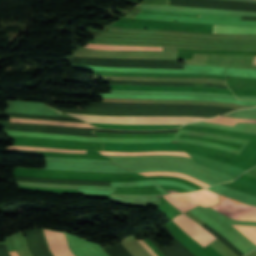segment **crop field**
Masks as SVG:
<instances>
[{
    "label": "crop field",
    "mask_w": 256,
    "mask_h": 256,
    "mask_svg": "<svg viewBox=\"0 0 256 256\" xmlns=\"http://www.w3.org/2000/svg\"><path fill=\"white\" fill-rule=\"evenodd\" d=\"M171 203H173L182 212L201 204L205 207L216 205L218 203V195L206 189L201 191H193L190 193L168 194L164 195ZM191 238L197 241L203 247L208 245L212 240L216 239L200 225L183 214L173 219Z\"/></svg>",
    "instance_id": "8a807250"
},
{
    "label": "crop field",
    "mask_w": 256,
    "mask_h": 256,
    "mask_svg": "<svg viewBox=\"0 0 256 256\" xmlns=\"http://www.w3.org/2000/svg\"><path fill=\"white\" fill-rule=\"evenodd\" d=\"M87 123L104 124H186L192 121L207 119L204 117H148V116H99L70 114Z\"/></svg>",
    "instance_id": "ac0d7876"
},
{
    "label": "crop field",
    "mask_w": 256,
    "mask_h": 256,
    "mask_svg": "<svg viewBox=\"0 0 256 256\" xmlns=\"http://www.w3.org/2000/svg\"><path fill=\"white\" fill-rule=\"evenodd\" d=\"M152 19L229 25H256V21H241V16H224L199 13L154 10Z\"/></svg>",
    "instance_id": "34b2d1b8"
},
{
    "label": "crop field",
    "mask_w": 256,
    "mask_h": 256,
    "mask_svg": "<svg viewBox=\"0 0 256 256\" xmlns=\"http://www.w3.org/2000/svg\"><path fill=\"white\" fill-rule=\"evenodd\" d=\"M219 198L220 203L212 207L215 210L233 219L256 221V207L245 205L221 195Z\"/></svg>",
    "instance_id": "412701ff"
},
{
    "label": "crop field",
    "mask_w": 256,
    "mask_h": 256,
    "mask_svg": "<svg viewBox=\"0 0 256 256\" xmlns=\"http://www.w3.org/2000/svg\"><path fill=\"white\" fill-rule=\"evenodd\" d=\"M70 248L76 256H108L100 245L66 233Z\"/></svg>",
    "instance_id": "f4fd0767"
},
{
    "label": "crop field",
    "mask_w": 256,
    "mask_h": 256,
    "mask_svg": "<svg viewBox=\"0 0 256 256\" xmlns=\"http://www.w3.org/2000/svg\"><path fill=\"white\" fill-rule=\"evenodd\" d=\"M104 150L113 151H153V150H178L175 143L158 144H120L105 143Z\"/></svg>",
    "instance_id": "dd49c442"
},
{
    "label": "crop field",
    "mask_w": 256,
    "mask_h": 256,
    "mask_svg": "<svg viewBox=\"0 0 256 256\" xmlns=\"http://www.w3.org/2000/svg\"><path fill=\"white\" fill-rule=\"evenodd\" d=\"M213 33L256 34V27L214 25Z\"/></svg>",
    "instance_id": "e52e79f7"
},
{
    "label": "crop field",
    "mask_w": 256,
    "mask_h": 256,
    "mask_svg": "<svg viewBox=\"0 0 256 256\" xmlns=\"http://www.w3.org/2000/svg\"><path fill=\"white\" fill-rule=\"evenodd\" d=\"M87 48H97L105 50H161L162 47H128V46H115V45H102V44H88Z\"/></svg>",
    "instance_id": "d8731c3e"
},
{
    "label": "crop field",
    "mask_w": 256,
    "mask_h": 256,
    "mask_svg": "<svg viewBox=\"0 0 256 256\" xmlns=\"http://www.w3.org/2000/svg\"><path fill=\"white\" fill-rule=\"evenodd\" d=\"M9 121H12V122H29V123H39V124H51V125H68V126H76V127H92L88 124H81V123L44 121V120H30V119H18V118H9Z\"/></svg>",
    "instance_id": "5a996713"
},
{
    "label": "crop field",
    "mask_w": 256,
    "mask_h": 256,
    "mask_svg": "<svg viewBox=\"0 0 256 256\" xmlns=\"http://www.w3.org/2000/svg\"><path fill=\"white\" fill-rule=\"evenodd\" d=\"M102 155H149V154H169V155H183L189 156L185 152H113V151H99ZM190 157V156H189Z\"/></svg>",
    "instance_id": "3316defc"
},
{
    "label": "crop field",
    "mask_w": 256,
    "mask_h": 256,
    "mask_svg": "<svg viewBox=\"0 0 256 256\" xmlns=\"http://www.w3.org/2000/svg\"><path fill=\"white\" fill-rule=\"evenodd\" d=\"M205 122H211V123H217V124L233 126V125H235L238 122L256 123V120L235 119V118H230V117H225V116H219L217 118H213V119L207 120Z\"/></svg>",
    "instance_id": "28ad6ade"
},
{
    "label": "crop field",
    "mask_w": 256,
    "mask_h": 256,
    "mask_svg": "<svg viewBox=\"0 0 256 256\" xmlns=\"http://www.w3.org/2000/svg\"><path fill=\"white\" fill-rule=\"evenodd\" d=\"M6 148L54 151V152H64V153H85V151H86V150H67V149H55V148H45V147H27V146H8Z\"/></svg>",
    "instance_id": "d1516ede"
},
{
    "label": "crop field",
    "mask_w": 256,
    "mask_h": 256,
    "mask_svg": "<svg viewBox=\"0 0 256 256\" xmlns=\"http://www.w3.org/2000/svg\"><path fill=\"white\" fill-rule=\"evenodd\" d=\"M55 233L56 236V240L58 243V246L61 250V252L64 254V256H75L69 249L66 239H65V235L62 233Z\"/></svg>",
    "instance_id": "22f410ed"
},
{
    "label": "crop field",
    "mask_w": 256,
    "mask_h": 256,
    "mask_svg": "<svg viewBox=\"0 0 256 256\" xmlns=\"http://www.w3.org/2000/svg\"><path fill=\"white\" fill-rule=\"evenodd\" d=\"M142 175H173V176H178V177H182V178H186L192 182H195L203 187H207L209 185L195 179V178H192L188 175H184V174H179V173H173V172H147V173H140Z\"/></svg>",
    "instance_id": "cbeb9de0"
},
{
    "label": "crop field",
    "mask_w": 256,
    "mask_h": 256,
    "mask_svg": "<svg viewBox=\"0 0 256 256\" xmlns=\"http://www.w3.org/2000/svg\"><path fill=\"white\" fill-rule=\"evenodd\" d=\"M103 102H122V103H153V100L147 99H108L102 98Z\"/></svg>",
    "instance_id": "5142ce71"
},
{
    "label": "crop field",
    "mask_w": 256,
    "mask_h": 256,
    "mask_svg": "<svg viewBox=\"0 0 256 256\" xmlns=\"http://www.w3.org/2000/svg\"><path fill=\"white\" fill-rule=\"evenodd\" d=\"M235 228H239V229H247L248 231H250L252 234H254L256 236V227H251V226H236V225H232Z\"/></svg>",
    "instance_id": "d9b57169"
},
{
    "label": "crop field",
    "mask_w": 256,
    "mask_h": 256,
    "mask_svg": "<svg viewBox=\"0 0 256 256\" xmlns=\"http://www.w3.org/2000/svg\"><path fill=\"white\" fill-rule=\"evenodd\" d=\"M238 231H240L242 234H244L246 237H248L250 240H252L256 244V237L252 235L250 232L245 230H238Z\"/></svg>",
    "instance_id": "733c2abd"
},
{
    "label": "crop field",
    "mask_w": 256,
    "mask_h": 256,
    "mask_svg": "<svg viewBox=\"0 0 256 256\" xmlns=\"http://www.w3.org/2000/svg\"><path fill=\"white\" fill-rule=\"evenodd\" d=\"M139 241V240H138ZM149 252H150V254L152 255V256H157L156 254H155V252L148 246V245H146L143 241H139Z\"/></svg>",
    "instance_id": "4a817a6b"
},
{
    "label": "crop field",
    "mask_w": 256,
    "mask_h": 256,
    "mask_svg": "<svg viewBox=\"0 0 256 256\" xmlns=\"http://www.w3.org/2000/svg\"><path fill=\"white\" fill-rule=\"evenodd\" d=\"M11 254V256H19L16 251H12V252H9Z\"/></svg>",
    "instance_id": "bc2a9ffb"
},
{
    "label": "crop field",
    "mask_w": 256,
    "mask_h": 256,
    "mask_svg": "<svg viewBox=\"0 0 256 256\" xmlns=\"http://www.w3.org/2000/svg\"><path fill=\"white\" fill-rule=\"evenodd\" d=\"M253 64H256V56H254Z\"/></svg>",
    "instance_id": "214f88e0"
}]
</instances>
